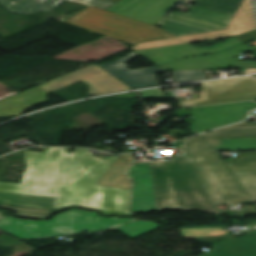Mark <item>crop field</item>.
<instances>
[{"instance_id":"1","label":"crop field","mask_w":256,"mask_h":256,"mask_svg":"<svg viewBox=\"0 0 256 256\" xmlns=\"http://www.w3.org/2000/svg\"><path fill=\"white\" fill-rule=\"evenodd\" d=\"M256 138V123H241L171 144L182 155L151 163L158 210L179 208L211 214L212 206L256 202V152L227 166L213 145L220 139Z\"/></svg>"},{"instance_id":"2","label":"crop field","mask_w":256,"mask_h":256,"mask_svg":"<svg viewBox=\"0 0 256 256\" xmlns=\"http://www.w3.org/2000/svg\"><path fill=\"white\" fill-rule=\"evenodd\" d=\"M88 151H25L28 166L21 184L0 182V192L55 197V212L77 206L99 210L103 215L133 216L128 212L129 190L96 185L121 155L104 161Z\"/></svg>"},{"instance_id":"3","label":"crop field","mask_w":256,"mask_h":256,"mask_svg":"<svg viewBox=\"0 0 256 256\" xmlns=\"http://www.w3.org/2000/svg\"><path fill=\"white\" fill-rule=\"evenodd\" d=\"M135 219L101 217L96 212L70 210L46 221H29L10 216L0 219V229L19 238H46L57 235L95 232Z\"/></svg>"},{"instance_id":"4","label":"crop field","mask_w":256,"mask_h":256,"mask_svg":"<svg viewBox=\"0 0 256 256\" xmlns=\"http://www.w3.org/2000/svg\"><path fill=\"white\" fill-rule=\"evenodd\" d=\"M233 16L193 6L185 14L171 12L158 23L176 37L226 29Z\"/></svg>"},{"instance_id":"5","label":"crop field","mask_w":256,"mask_h":256,"mask_svg":"<svg viewBox=\"0 0 256 256\" xmlns=\"http://www.w3.org/2000/svg\"><path fill=\"white\" fill-rule=\"evenodd\" d=\"M202 99L179 101V107H191L256 98V79L238 77L204 82Z\"/></svg>"},{"instance_id":"6","label":"crop field","mask_w":256,"mask_h":256,"mask_svg":"<svg viewBox=\"0 0 256 256\" xmlns=\"http://www.w3.org/2000/svg\"><path fill=\"white\" fill-rule=\"evenodd\" d=\"M78 81L89 86L88 95H103L131 90L130 87L107 73L96 64H91L38 86L53 92Z\"/></svg>"},{"instance_id":"7","label":"crop field","mask_w":256,"mask_h":256,"mask_svg":"<svg viewBox=\"0 0 256 256\" xmlns=\"http://www.w3.org/2000/svg\"><path fill=\"white\" fill-rule=\"evenodd\" d=\"M241 6V5H240ZM238 11V10H237ZM235 16V15H234ZM255 25L250 9L249 0H244L242 6L237 12L236 16L229 24L226 30L180 37V38H170L164 40H158L153 42L141 43L130 48L132 51L167 46L185 42H195V41H204L221 37L235 36L251 31H255Z\"/></svg>"},{"instance_id":"8","label":"crop field","mask_w":256,"mask_h":256,"mask_svg":"<svg viewBox=\"0 0 256 256\" xmlns=\"http://www.w3.org/2000/svg\"><path fill=\"white\" fill-rule=\"evenodd\" d=\"M114 36L137 43L174 37L168 32L154 26L110 12L102 24Z\"/></svg>"},{"instance_id":"9","label":"crop field","mask_w":256,"mask_h":256,"mask_svg":"<svg viewBox=\"0 0 256 256\" xmlns=\"http://www.w3.org/2000/svg\"><path fill=\"white\" fill-rule=\"evenodd\" d=\"M180 1L182 0H121L107 10L153 25Z\"/></svg>"},{"instance_id":"10","label":"crop field","mask_w":256,"mask_h":256,"mask_svg":"<svg viewBox=\"0 0 256 256\" xmlns=\"http://www.w3.org/2000/svg\"><path fill=\"white\" fill-rule=\"evenodd\" d=\"M126 175L133 180L132 212L157 210L150 162L133 164Z\"/></svg>"},{"instance_id":"11","label":"crop field","mask_w":256,"mask_h":256,"mask_svg":"<svg viewBox=\"0 0 256 256\" xmlns=\"http://www.w3.org/2000/svg\"><path fill=\"white\" fill-rule=\"evenodd\" d=\"M138 56L131 52L125 57H122L108 64H101L103 69L127 84L133 89L158 86L155 73L164 72L161 68L154 66L150 68L130 71L123 63Z\"/></svg>"},{"instance_id":"12","label":"crop field","mask_w":256,"mask_h":256,"mask_svg":"<svg viewBox=\"0 0 256 256\" xmlns=\"http://www.w3.org/2000/svg\"><path fill=\"white\" fill-rule=\"evenodd\" d=\"M49 92L35 86L0 101V116H18L28 107L47 102Z\"/></svg>"},{"instance_id":"13","label":"crop field","mask_w":256,"mask_h":256,"mask_svg":"<svg viewBox=\"0 0 256 256\" xmlns=\"http://www.w3.org/2000/svg\"><path fill=\"white\" fill-rule=\"evenodd\" d=\"M108 14H109L108 11H104V10L90 6L68 21H66L62 18H60L59 20L66 22V23L76 24V25L85 27L87 29L114 37L108 30H106L101 25ZM115 38H118V37H115ZM118 39H121V38H118ZM121 40L135 44L134 42L129 41V40H125V39H121Z\"/></svg>"},{"instance_id":"14","label":"crop field","mask_w":256,"mask_h":256,"mask_svg":"<svg viewBox=\"0 0 256 256\" xmlns=\"http://www.w3.org/2000/svg\"><path fill=\"white\" fill-rule=\"evenodd\" d=\"M22 1L23 0H0V4L8 9L12 14H29L39 11H52L66 0H51L44 7L42 6L49 0H25L22 4H20ZM55 2L57 3L52 6Z\"/></svg>"},{"instance_id":"15","label":"crop field","mask_w":256,"mask_h":256,"mask_svg":"<svg viewBox=\"0 0 256 256\" xmlns=\"http://www.w3.org/2000/svg\"><path fill=\"white\" fill-rule=\"evenodd\" d=\"M0 203L53 210L54 198L0 193Z\"/></svg>"},{"instance_id":"16","label":"crop field","mask_w":256,"mask_h":256,"mask_svg":"<svg viewBox=\"0 0 256 256\" xmlns=\"http://www.w3.org/2000/svg\"><path fill=\"white\" fill-rule=\"evenodd\" d=\"M129 166L130 164L116 162L98 184L130 189V181L123 175Z\"/></svg>"},{"instance_id":"17","label":"crop field","mask_w":256,"mask_h":256,"mask_svg":"<svg viewBox=\"0 0 256 256\" xmlns=\"http://www.w3.org/2000/svg\"><path fill=\"white\" fill-rule=\"evenodd\" d=\"M198 3L195 6L235 15L243 0H192Z\"/></svg>"},{"instance_id":"18","label":"crop field","mask_w":256,"mask_h":256,"mask_svg":"<svg viewBox=\"0 0 256 256\" xmlns=\"http://www.w3.org/2000/svg\"><path fill=\"white\" fill-rule=\"evenodd\" d=\"M159 227L161 226L153 222L137 220L136 222L131 224L118 226L111 231L120 230L128 237L134 239Z\"/></svg>"},{"instance_id":"19","label":"crop field","mask_w":256,"mask_h":256,"mask_svg":"<svg viewBox=\"0 0 256 256\" xmlns=\"http://www.w3.org/2000/svg\"><path fill=\"white\" fill-rule=\"evenodd\" d=\"M227 227L228 226L181 228V234L185 239L222 235L226 234Z\"/></svg>"},{"instance_id":"20","label":"crop field","mask_w":256,"mask_h":256,"mask_svg":"<svg viewBox=\"0 0 256 256\" xmlns=\"http://www.w3.org/2000/svg\"><path fill=\"white\" fill-rule=\"evenodd\" d=\"M222 146H215L217 151L256 150V139L221 140Z\"/></svg>"},{"instance_id":"21","label":"crop field","mask_w":256,"mask_h":256,"mask_svg":"<svg viewBox=\"0 0 256 256\" xmlns=\"http://www.w3.org/2000/svg\"><path fill=\"white\" fill-rule=\"evenodd\" d=\"M1 208H5L11 211L17 212L16 216L29 217V218H48L54 212L40 209H30L24 207H12L6 205H0Z\"/></svg>"},{"instance_id":"22","label":"crop field","mask_w":256,"mask_h":256,"mask_svg":"<svg viewBox=\"0 0 256 256\" xmlns=\"http://www.w3.org/2000/svg\"><path fill=\"white\" fill-rule=\"evenodd\" d=\"M175 83H184L204 79L205 70L172 71Z\"/></svg>"},{"instance_id":"23","label":"crop field","mask_w":256,"mask_h":256,"mask_svg":"<svg viewBox=\"0 0 256 256\" xmlns=\"http://www.w3.org/2000/svg\"><path fill=\"white\" fill-rule=\"evenodd\" d=\"M115 3L116 2H112L109 0H90L88 4L105 10L110 6L114 5Z\"/></svg>"},{"instance_id":"24","label":"crop field","mask_w":256,"mask_h":256,"mask_svg":"<svg viewBox=\"0 0 256 256\" xmlns=\"http://www.w3.org/2000/svg\"><path fill=\"white\" fill-rule=\"evenodd\" d=\"M142 98H165L160 89L139 92Z\"/></svg>"},{"instance_id":"25","label":"crop field","mask_w":256,"mask_h":256,"mask_svg":"<svg viewBox=\"0 0 256 256\" xmlns=\"http://www.w3.org/2000/svg\"><path fill=\"white\" fill-rule=\"evenodd\" d=\"M226 238H227V236L223 235V236L199 238V239H196V240H198L200 243L204 244V243H208V242H212V241H216V240H221V239H226Z\"/></svg>"},{"instance_id":"26","label":"crop field","mask_w":256,"mask_h":256,"mask_svg":"<svg viewBox=\"0 0 256 256\" xmlns=\"http://www.w3.org/2000/svg\"><path fill=\"white\" fill-rule=\"evenodd\" d=\"M244 224H245L248 228H256V221H245Z\"/></svg>"},{"instance_id":"27","label":"crop field","mask_w":256,"mask_h":256,"mask_svg":"<svg viewBox=\"0 0 256 256\" xmlns=\"http://www.w3.org/2000/svg\"><path fill=\"white\" fill-rule=\"evenodd\" d=\"M77 1H81V2H89V0H77Z\"/></svg>"},{"instance_id":"28","label":"crop field","mask_w":256,"mask_h":256,"mask_svg":"<svg viewBox=\"0 0 256 256\" xmlns=\"http://www.w3.org/2000/svg\"><path fill=\"white\" fill-rule=\"evenodd\" d=\"M4 217V215L0 214V218Z\"/></svg>"}]
</instances>
